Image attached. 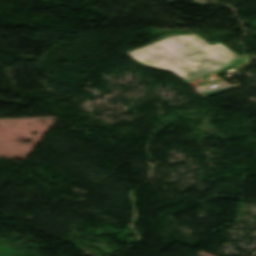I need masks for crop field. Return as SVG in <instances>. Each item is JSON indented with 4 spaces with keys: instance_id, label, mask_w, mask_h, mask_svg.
Wrapping results in <instances>:
<instances>
[{
    "instance_id": "8a807250",
    "label": "crop field",
    "mask_w": 256,
    "mask_h": 256,
    "mask_svg": "<svg viewBox=\"0 0 256 256\" xmlns=\"http://www.w3.org/2000/svg\"><path fill=\"white\" fill-rule=\"evenodd\" d=\"M129 55L146 65L172 71L205 97L238 87L216 75L229 70L240 57L222 44L211 46L196 35L170 36ZM216 83V88L207 87Z\"/></svg>"
}]
</instances>
